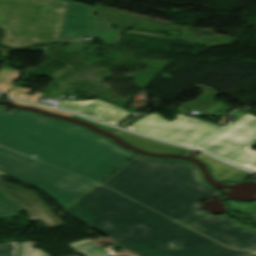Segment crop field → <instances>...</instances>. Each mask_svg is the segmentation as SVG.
<instances>
[{"label":"crop field","mask_w":256,"mask_h":256,"mask_svg":"<svg viewBox=\"0 0 256 256\" xmlns=\"http://www.w3.org/2000/svg\"><path fill=\"white\" fill-rule=\"evenodd\" d=\"M4 109L0 173L42 189L63 208L135 154L80 126Z\"/></svg>","instance_id":"8a807250"},{"label":"crop field","mask_w":256,"mask_h":256,"mask_svg":"<svg viewBox=\"0 0 256 256\" xmlns=\"http://www.w3.org/2000/svg\"><path fill=\"white\" fill-rule=\"evenodd\" d=\"M102 184L183 225L194 222L197 225L191 228L228 247L256 251V232L243 229L223 215L202 216L204 212L195 209L199 201L220 193L206 186L198 170L187 161L137 155Z\"/></svg>","instance_id":"ac0d7876"},{"label":"crop field","mask_w":256,"mask_h":256,"mask_svg":"<svg viewBox=\"0 0 256 256\" xmlns=\"http://www.w3.org/2000/svg\"><path fill=\"white\" fill-rule=\"evenodd\" d=\"M65 212L142 256L256 255L228 249L100 184ZM171 244L183 249H166Z\"/></svg>","instance_id":"34b2d1b8"},{"label":"crop field","mask_w":256,"mask_h":256,"mask_svg":"<svg viewBox=\"0 0 256 256\" xmlns=\"http://www.w3.org/2000/svg\"><path fill=\"white\" fill-rule=\"evenodd\" d=\"M67 4L58 0H0L1 44L23 49L57 42Z\"/></svg>","instance_id":"412701ff"},{"label":"crop field","mask_w":256,"mask_h":256,"mask_svg":"<svg viewBox=\"0 0 256 256\" xmlns=\"http://www.w3.org/2000/svg\"><path fill=\"white\" fill-rule=\"evenodd\" d=\"M256 118L249 113L220 132L195 146L221 159L256 171Z\"/></svg>","instance_id":"f4fd0767"},{"label":"crop field","mask_w":256,"mask_h":256,"mask_svg":"<svg viewBox=\"0 0 256 256\" xmlns=\"http://www.w3.org/2000/svg\"><path fill=\"white\" fill-rule=\"evenodd\" d=\"M126 129L191 147L221 128L183 115L167 122L157 113H153Z\"/></svg>","instance_id":"dd49c442"},{"label":"crop field","mask_w":256,"mask_h":256,"mask_svg":"<svg viewBox=\"0 0 256 256\" xmlns=\"http://www.w3.org/2000/svg\"><path fill=\"white\" fill-rule=\"evenodd\" d=\"M92 11V6L69 2L59 41L82 42L83 37H96L104 44H118L120 30H96L98 17Z\"/></svg>","instance_id":"e52e79f7"},{"label":"crop field","mask_w":256,"mask_h":256,"mask_svg":"<svg viewBox=\"0 0 256 256\" xmlns=\"http://www.w3.org/2000/svg\"><path fill=\"white\" fill-rule=\"evenodd\" d=\"M0 190L15 200L23 207L29 215L31 221L40 220L48 228L66 225L64 221L56 216L53 209L41 198L28 189L18 187L0 178Z\"/></svg>","instance_id":"d8731c3e"},{"label":"crop field","mask_w":256,"mask_h":256,"mask_svg":"<svg viewBox=\"0 0 256 256\" xmlns=\"http://www.w3.org/2000/svg\"><path fill=\"white\" fill-rule=\"evenodd\" d=\"M57 107L65 108L111 125H116L124 118L131 115L117 106L99 100L70 101L65 99Z\"/></svg>","instance_id":"5a996713"},{"label":"crop field","mask_w":256,"mask_h":256,"mask_svg":"<svg viewBox=\"0 0 256 256\" xmlns=\"http://www.w3.org/2000/svg\"><path fill=\"white\" fill-rule=\"evenodd\" d=\"M118 136L122 137L128 143L135 145L141 149L148 150L151 152H179L184 153L188 149H184L181 147H177L174 145H170L167 143H163L160 141L152 140L149 138H145L142 136L126 133V132H118L116 133Z\"/></svg>","instance_id":"3316defc"},{"label":"crop field","mask_w":256,"mask_h":256,"mask_svg":"<svg viewBox=\"0 0 256 256\" xmlns=\"http://www.w3.org/2000/svg\"><path fill=\"white\" fill-rule=\"evenodd\" d=\"M197 86L204 89V92L195 102H189V103L187 102L188 104L185 103L186 105L179 107L180 109H184V110L191 109V110L202 112L205 109L212 106L213 104L217 103L213 99L219 93H217L215 90L209 87H206L200 84H198Z\"/></svg>","instance_id":"28ad6ade"},{"label":"crop field","mask_w":256,"mask_h":256,"mask_svg":"<svg viewBox=\"0 0 256 256\" xmlns=\"http://www.w3.org/2000/svg\"><path fill=\"white\" fill-rule=\"evenodd\" d=\"M203 161H205L208 165H210L213 169V175L215 179L224 181L230 178L232 175L240 171L239 169H234L210 156L200 154L196 156Z\"/></svg>","instance_id":"d1516ede"},{"label":"crop field","mask_w":256,"mask_h":256,"mask_svg":"<svg viewBox=\"0 0 256 256\" xmlns=\"http://www.w3.org/2000/svg\"><path fill=\"white\" fill-rule=\"evenodd\" d=\"M82 256H109V254L89 239L69 244Z\"/></svg>","instance_id":"22f410ed"},{"label":"crop field","mask_w":256,"mask_h":256,"mask_svg":"<svg viewBox=\"0 0 256 256\" xmlns=\"http://www.w3.org/2000/svg\"><path fill=\"white\" fill-rule=\"evenodd\" d=\"M22 208L0 192V217L16 215Z\"/></svg>","instance_id":"cbeb9de0"},{"label":"crop field","mask_w":256,"mask_h":256,"mask_svg":"<svg viewBox=\"0 0 256 256\" xmlns=\"http://www.w3.org/2000/svg\"><path fill=\"white\" fill-rule=\"evenodd\" d=\"M32 245H34L32 241L20 243V256H49L38 249H33Z\"/></svg>","instance_id":"5142ce71"},{"label":"crop field","mask_w":256,"mask_h":256,"mask_svg":"<svg viewBox=\"0 0 256 256\" xmlns=\"http://www.w3.org/2000/svg\"><path fill=\"white\" fill-rule=\"evenodd\" d=\"M25 91H30V89L15 87L14 90L8 94H11V95H14V96H17V97H20V98H23V99H26L29 101H33V102H36V100L42 95L40 93H36L33 96H29L24 93ZM15 93H17L18 95H15Z\"/></svg>","instance_id":"d9b57169"},{"label":"crop field","mask_w":256,"mask_h":256,"mask_svg":"<svg viewBox=\"0 0 256 256\" xmlns=\"http://www.w3.org/2000/svg\"><path fill=\"white\" fill-rule=\"evenodd\" d=\"M0 256H18L17 243L0 245Z\"/></svg>","instance_id":"733c2abd"},{"label":"crop field","mask_w":256,"mask_h":256,"mask_svg":"<svg viewBox=\"0 0 256 256\" xmlns=\"http://www.w3.org/2000/svg\"><path fill=\"white\" fill-rule=\"evenodd\" d=\"M9 99L12 100V101H14L15 103H18V104L29 105V106H33V107H38V108H42V109H45V110H48V111H52V112H55V113L67 115V116H71V115H72V114L64 113V112H62V111L55 110V109H50V108H46V107H42V106H35V105H32V104L19 102V101L13 99V98H9Z\"/></svg>","instance_id":"4a817a6b"},{"label":"crop field","mask_w":256,"mask_h":256,"mask_svg":"<svg viewBox=\"0 0 256 256\" xmlns=\"http://www.w3.org/2000/svg\"><path fill=\"white\" fill-rule=\"evenodd\" d=\"M72 117H75V118H78V119L85 120V119H83V118H81V117H79V116H76V115H73ZM85 121H87V122H89V123H91V124H93V125H95V126H97V127H100V128L106 129V130L111 129V128H109V127H106V126H103V125H100V124H97V123H93V122L88 121V120H85Z\"/></svg>","instance_id":"bc2a9ffb"},{"label":"crop field","mask_w":256,"mask_h":256,"mask_svg":"<svg viewBox=\"0 0 256 256\" xmlns=\"http://www.w3.org/2000/svg\"><path fill=\"white\" fill-rule=\"evenodd\" d=\"M13 86H10V85H2L0 84V90L2 91H7L9 89H11Z\"/></svg>","instance_id":"214f88e0"},{"label":"crop field","mask_w":256,"mask_h":256,"mask_svg":"<svg viewBox=\"0 0 256 256\" xmlns=\"http://www.w3.org/2000/svg\"><path fill=\"white\" fill-rule=\"evenodd\" d=\"M251 212L256 215V204L250 207Z\"/></svg>","instance_id":"92a150f3"},{"label":"crop field","mask_w":256,"mask_h":256,"mask_svg":"<svg viewBox=\"0 0 256 256\" xmlns=\"http://www.w3.org/2000/svg\"><path fill=\"white\" fill-rule=\"evenodd\" d=\"M193 225H195V224H194V223H189V224H187L186 226L191 227V226H193Z\"/></svg>","instance_id":"dafd665d"}]
</instances>
